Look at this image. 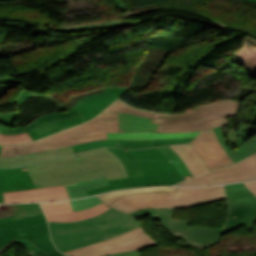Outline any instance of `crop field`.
<instances>
[{
    "instance_id": "obj_22",
    "label": "crop field",
    "mask_w": 256,
    "mask_h": 256,
    "mask_svg": "<svg viewBox=\"0 0 256 256\" xmlns=\"http://www.w3.org/2000/svg\"><path fill=\"white\" fill-rule=\"evenodd\" d=\"M171 148L181 156L193 176L209 171L191 145H176Z\"/></svg>"
},
{
    "instance_id": "obj_1",
    "label": "crop field",
    "mask_w": 256,
    "mask_h": 256,
    "mask_svg": "<svg viewBox=\"0 0 256 256\" xmlns=\"http://www.w3.org/2000/svg\"><path fill=\"white\" fill-rule=\"evenodd\" d=\"M26 168L36 188L103 176L108 180L128 177L120 159L107 148L59 157Z\"/></svg>"
},
{
    "instance_id": "obj_2",
    "label": "crop field",
    "mask_w": 256,
    "mask_h": 256,
    "mask_svg": "<svg viewBox=\"0 0 256 256\" xmlns=\"http://www.w3.org/2000/svg\"><path fill=\"white\" fill-rule=\"evenodd\" d=\"M48 222L53 242L61 252L109 239L140 226L135 217L111 208L82 221Z\"/></svg>"
},
{
    "instance_id": "obj_42",
    "label": "crop field",
    "mask_w": 256,
    "mask_h": 256,
    "mask_svg": "<svg viewBox=\"0 0 256 256\" xmlns=\"http://www.w3.org/2000/svg\"><path fill=\"white\" fill-rule=\"evenodd\" d=\"M38 256H65V255H63V254L59 253L58 251H56V252H53L51 254H44V255H38Z\"/></svg>"
},
{
    "instance_id": "obj_40",
    "label": "crop field",
    "mask_w": 256,
    "mask_h": 256,
    "mask_svg": "<svg viewBox=\"0 0 256 256\" xmlns=\"http://www.w3.org/2000/svg\"><path fill=\"white\" fill-rule=\"evenodd\" d=\"M256 195V181L244 183Z\"/></svg>"
},
{
    "instance_id": "obj_9",
    "label": "crop field",
    "mask_w": 256,
    "mask_h": 256,
    "mask_svg": "<svg viewBox=\"0 0 256 256\" xmlns=\"http://www.w3.org/2000/svg\"><path fill=\"white\" fill-rule=\"evenodd\" d=\"M224 187L227 192L229 214L223 234L243 225L250 232L256 221V196L243 183Z\"/></svg>"
},
{
    "instance_id": "obj_5",
    "label": "crop field",
    "mask_w": 256,
    "mask_h": 256,
    "mask_svg": "<svg viewBox=\"0 0 256 256\" xmlns=\"http://www.w3.org/2000/svg\"><path fill=\"white\" fill-rule=\"evenodd\" d=\"M178 193H141L124 196L110 207L130 213L140 208H182L226 199L222 186L177 187Z\"/></svg>"
},
{
    "instance_id": "obj_20",
    "label": "crop field",
    "mask_w": 256,
    "mask_h": 256,
    "mask_svg": "<svg viewBox=\"0 0 256 256\" xmlns=\"http://www.w3.org/2000/svg\"><path fill=\"white\" fill-rule=\"evenodd\" d=\"M85 122L81 115H76L74 117L64 118L60 120L47 122L33 130H31L29 135L34 139L43 138L48 135H51L59 130L64 128Z\"/></svg>"
},
{
    "instance_id": "obj_37",
    "label": "crop field",
    "mask_w": 256,
    "mask_h": 256,
    "mask_svg": "<svg viewBox=\"0 0 256 256\" xmlns=\"http://www.w3.org/2000/svg\"><path fill=\"white\" fill-rule=\"evenodd\" d=\"M21 132H25V130L22 126H18V127L13 128V129H8L5 126L0 124V133L14 134V133H21Z\"/></svg>"
},
{
    "instance_id": "obj_11",
    "label": "crop field",
    "mask_w": 256,
    "mask_h": 256,
    "mask_svg": "<svg viewBox=\"0 0 256 256\" xmlns=\"http://www.w3.org/2000/svg\"><path fill=\"white\" fill-rule=\"evenodd\" d=\"M256 179V154L242 162L183 181L177 185H204Z\"/></svg>"
},
{
    "instance_id": "obj_43",
    "label": "crop field",
    "mask_w": 256,
    "mask_h": 256,
    "mask_svg": "<svg viewBox=\"0 0 256 256\" xmlns=\"http://www.w3.org/2000/svg\"><path fill=\"white\" fill-rule=\"evenodd\" d=\"M3 56H12V54H8V53H0V57H3Z\"/></svg>"
},
{
    "instance_id": "obj_31",
    "label": "crop field",
    "mask_w": 256,
    "mask_h": 256,
    "mask_svg": "<svg viewBox=\"0 0 256 256\" xmlns=\"http://www.w3.org/2000/svg\"><path fill=\"white\" fill-rule=\"evenodd\" d=\"M70 202L72 204L73 211L88 208V207H91V206L101 203V201L96 196L91 197V198L74 200V201H70Z\"/></svg>"
},
{
    "instance_id": "obj_17",
    "label": "crop field",
    "mask_w": 256,
    "mask_h": 256,
    "mask_svg": "<svg viewBox=\"0 0 256 256\" xmlns=\"http://www.w3.org/2000/svg\"><path fill=\"white\" fill-rule=\"evenodd\" d=\"M34 188L32 180L25 168H0V202L2 192Z\"/></svg>"
},
{
    "instance_id": "obj_23",
    "label": "crop field",
    "mask_w": 256,
    "mask_h": 256,
    "mask_svg": "<svg viewBox=\"0 0 256 256\" xmlns=\"http://www.w3.org/2000/svg\"><path fill=\"white\" fill-rule=\"evenodd\" d=\"M201 131L188 133L128 132L107 133L108 139H167L196 136Z\"/></svg>"
},
{
    "instance_id": "obj_10",
    "label": "crop field",
    "mask_w": 256,
    "mask_h": 256,
    "mask_svg": "<svg viewBox=\"0 0 256 256\" xmlns=\"http://www.w3.org/2000/svg\"><path fill=\"white\" fill-rule=\"evenodd\" d=\"M175 209H140L131 213L144 217L151 213L153 219H159L164 228L191 236L193 240L205 241L212 245L221 240L222 229L214 227L193 226L189 221L173 219Z\"/></svg>"
},
{
    "instance_id": "obj_44",
    "label": "crop field",
    "mask_w": 256,
    "mask_h": 256,
    "mask_svg": "<svg viewBox=\"0 0 256 256\" xmlns=\"http://www.w3.org/2000/svg\"><path fill=\"white\" fill-rule=\"evenodd\" d=\"M249 1H253V2H256V0H249Z\"/></svg>"
},
{
    "instance_id": "obj_13",
    "label": "crop field",
    "mask_w": 256,
    "mask_h": 256,
    "mask_svg": "<svg viewBox=\"0 0 256 256\" xmlns=\"http://www.w3.org/2000/svg\"><path fill=\"white\" fill-rule=\"evenodd\" d=\"M48 220L76 221L96 216L108 210L110 207L103 203L85 210L72 212L69 201L40 203Z\"/></svg>"
},
{
    "instance_id": "obj_12",
    "label": "crop field",
    "mask_w": 256,
    "mask_h": 256,
    "mask_svg": "<svg viewBox=\"0 0 256 256\" xmlns=\"http://www.w3.org/2000/svg\"><path fill=\"white\" fill-rule=\"evenodd\" d=\"M210 171L233 164L220 146L212 129L204 130L190 142Z\"/></svg>"
},
{
    "instance_id": "obj_26",
    "label": "crop field",
    "mask_w": 256,
    "mask_h": 256,
    "mask_svg": "<svg viewBox=\"0 0 256 256\" xmlns=\"http://www.w3.org/2000/svg\"><path fill=\"white\" fill-rule=\"evenodd\" d=\"M141 192H177V191H176V187L140 188V189H131V190H125V191L112 192L108 194L99 195L98 197L109 205L123 195L141 193Z\"/></svg>"
},
{
    "instance_id": "obj_19",
    "label": "crop field",
    "mask_w": 256,
    "mask_h": 256,
    "mask_svg": "<svg viewBox=\"0 0 256 256\" xmlns=\"http://www.w3.org/2000/svg\"><path fill=\"white\" fill-rule=\"evenodd\" d=\"M71 153H73L71 147H66V148L48 150V151L39 152V153L20 155V157H17V156L0 157V166L11 167V166L32 164L40 161H45L51 158L71 154Z\"/></svg>"
},
{
    "instance_id": "obj_4",
    "label": "crop field",
    "mask_w": 256,
    "mask_h": 256,
    "mask_svg": "<svg viewBox=\"0 0 256 256\" xmlns=\"http://www.w3.org/2000/svg\"><path fill=\"white\" fill-rule=\"evenodd\" d=\"M106 132H119L118 113L101 115L79 126L22 146H0V156L26 154L107 139Z\"/></svg>"
},
{
    "instance_id": "obj_18",
    "label": "crop field",
    "mask_w": 256,
    "mask_h": 256,
    "mask_svg": "<svg viewBox=\"0 0 256 256\" xmlns=\"http://www.w3.org/2000/svg\"><path fill=\"white\" fill-rule=\"evenodd\" d=\"M223 149L229 155V157L233 160V162L239 161V159L235 156L233 152L230 151L229 148L226 147V139H229L230 144L234 145L236 148L244 143L247 139H249L252 135L256 133V127L250 126L245 123H241L237 129V131L230 130L228 133L222 130V127H218L214 129Z\"/></svg>"
},
{
    "instance_id": "obj_7",
    "label": "crop field",
    "mask_w": 256,
    "mask_h": 256,
    "mask_svg": "<svg viewBox=\"0 0 256 256\" xmlns=\"http://www.w3.org/2000/svg\"><path fill=\"white\" fill-rule=\"evenodd\" d=\"M13 238H28L48 253L56 251L41 206L0 215V248Z\"/></svg>"
},
{
    "instance_id": "obj_15",
    "label": "crop field",
    "mask_w": 256,
    "mask_h": 256,
    "mask_svg": "<svg viewBox=\"0 0 256 256\" xmlns=\"http://www.w3.org/2000/svg\"><path fill=\"white\" fill-rule=\"evenodd\" d=\"M195 137L191 138H180V139H168V140H102V141H93L89 143H84L80 145L72 146L74 152H80L85 150H90L98 147H129V148H146V147H155L160 145H169V144H179V143H188Z\"/></svg>"
},
{
    "instance_id": "obj_33",
    "label": "crop field",
    "mask_w": 256,
    "mask_h": 256,
    "mask_svg": "<svg viewBox=\"0 0 256 256\" xmlns=\"http://www.w3.org/2000/svg\"><path fill=\"white\" fill-rule=\"evenodd\" d=\"M38 205H39V203L0 205V214L5 213V212H9V211H13V210L38 206Z\"/></svg>"
},
{
    "instance_id": "obj_27",
    "label": "crop field",
    "mask_w": 256,
    "mask_h": 256,
    "mask_svg": "<svg viewBox=\"0 0 256 256\" xmlns=\"http://www.w3.org/2000/svg\"><path fill=\"white\" fill-rule=\"evenodd\" d=\"M78 114V111L77 109H75L74 107L68 111H63V112H57V113H52V114H47V115H43L37 119H35L34 121H32L29 125H27L25 127V129L27 130V132L29 130H31L32 128L44 123V122H47V121H50V120H54V119H59V118H63V117H69V116H74Z\"/></svg>"
},
{
    "instance_id": "obj_16",
    "label": "crop field",
    "mask_w": 256,
    "mask_h": 256,
    "mask_svg": "<svg viewBox=\"0 0 256 256\" xmlns=\"http://www.w3.org/2000/svg\"><path fill=\"white\" fill-rule=\"evenodd\" d=\"M4 202H31L68 198L63 185L3 193Z\"/></svg>"
},
{
    "instance_id": "obj_28",
    "label": "crop field",
    "mask_w": 256,
    "mask_h": 256,
    "mask_svg": "<svg viewBox=\"0 0 256 256\" xmlns=\"http://www.w3.org/2000/svg\"><path fill=\"white\" fill-rule=\"evenodd\" d=\"M158 149L161 150L170 160H172L173 164L176 166L184 179L192 177L191 173L181 160L180 156L175 153L170 147H162Z\"/></svg>"
},
{
    "instance_id": "obj_30",
    "label": "crop field",
    "mask_w": 256,
    "mask_h": 256,
    "mask_svg": "<svg viewBox=\"0 0 256 256\" xmlns=\"http://www.w3.org/2000/svg\"><path fill=\"white\" fill-rule=\"evenodd\" d=\"M242 160L256 152V138H250L243 145L233 151Z\"/></svg>"
},
{
    "instance_id": "obj_8",
    "label": "crop field",
    "mask_w": 256,
    "mask_h": 256,
    "mask_svg": "<svg viewBox=\"0 0 256 256\" xmlns=\"http://www.w3.org/2000/svg\"><path fill=\"white\" fill-rule=\"evenodd\" d=\"M159 245L142 227H138L112 239L62 252L68 256H107L130 250Z\"/></svg>"
},
{
    "instance_id": "obj_14",
    "label": "crop field",
    "mask_w": 256,
    "mask_h": 256,
    "mask_svg": "<svg viewBox=\"0 0 256 256\" xmlns=\"http://www.w3.org/2000/svg\"><path fill=\"white\" fill-rule=\"evenodd\" d=\"M126 89V87L103 88L104 93L92 94L83 97L76 102L75 106L87 121L98 115Z\"/></svg>"
},
{
    "instance_id": "obj_3",
    "label": "crop field",
    "mask_w": 256,
    "mask_h": 256,
    "mask_svg": "<svg viewBox=\"0 0 256 256\" xmlns=\"http://www.w3.org/2000/svg\"><path fill=\"white\" fill-rule=\"evenodd\" d=\"M238 108V101H223L205 104L183 114L152 113L134 109L117 99L102 113L128 112L147 116L153 118V123L160 124L158 132H187L225 125L227 117L237 114Z\"/></svg>"
},
{
    "instance_id": "obj_36",
    "label": "crop field",
    "mask_w": 256,
    "mask_h": 256,
    "mask_svg": "<svg viewBox=\"0 0 256 256\" xmlns=\"http://www.w3.org/2000/svg\"><path fill=\"white\" fill-rule=\"evenodd\" d=\"M16 112L0 113V123L5 126H11L13 119H15Z\"/></svg>"
},
{
    "instance_id": "obj_41",
    "label": "crop field",
    "mask_w": 256,
    "mask_h": 256,
    "mask_svg": "<svg viewBox=\"0 0 256 256\" xmlns=\"http://www.w3.org/2000/svg\"><path fill=\"white\" fill-rule=\"evenodd\" d=\"M114 2L117 4L119 11L127 9L126 6L120 0H114Z\"/></svg>"
},
{
    "instance_id": "obj_29",
    "label": "crop field",
    "mask_w": 256,
    "mask_h": 256,
    "mask_svg": "<svg viewBox=\"0 0 256 256\" xmlns=\"http://www.w3.org/2000/svg\"><path fill=\"white\" fill-rule=\"evenodd\" d=\"M32 141L34 140L27 134V132L21 133V134H15V135L0 134V144L16 145V144L28 143Z\"/></svg>"
},
{
    "instance_id": "obj_38",
    "label": "crop field",
    "mask_w": 256,
    "mask_h": 256,
    "mask_svg": "<svg viewBox=\"0 0 256 256\" xmlns=\"http://www.w3.org/2000/svg\"><path fill=\"white\" fill-rule=\"evenodd\" d=\"M0 83H20V80H14L13 76H4L0 78Z\"/></svg>"
},
{
    "instance_id": "obj_21",
    "label": "crop field",
    "mask_w": 256,
    "mask_h": 256,
    "mask_svg": "<svg viewBox=\"0 0 256 256\" xmlns=\"http://www.w3.org/2000/svg\"><path fill=\"white\" fill-rule=\"evenodd\" d=\"M150 121V118L127 113H119L120 132L156 131L159 125L150 123Z\"/></svg>"
},
{
    "instance_id": "obj_24",
    "label": "crop field",
    "mask_w": 256,
    "mask_h": 256,
    "mask_svg": "<svg viewBox=\"0 0 256 256\" xmlns=\"http://www.w3.org/2000/svg\"><path fill=\"white\" fill-rule=\"evenodd\" d=\"M104 185H108V182L105 177L88 180V181L71 183V184L65 185V187L70 198H80L88 195L86 190L104 186Z\"/></svg>"
},
{
    "instance_id": "obj_25",
    "label": "crop field",
    "mask_w": 256,
    "mask_h": 256,
    "mask_svg": "<svg viewBox=\"0 0 256 256\" xmlns=\"http://www.w3.org/2000/svg\"><path fill=\"white\" fill-rule=\"evenodd\" d=\"M117 157H119L125 167L129 177L141 176L142 171L134 156L127 150L122 148H109Z\"/></svg>"
},
{
    "instance_id": "obj_39",
    "label": "crop field",
    "mask_w": 256,
    "mask_h": 256,
    "mask_svg": "<svg viewBox=\"0 0 256 256\" xmlns=\"http://www.w3.org/2000/svg\"><path fill=\"white\" fill-rule=\"evenodd\" d=\"M112 256H141L139 250L138 251H130V252H124Z\"/></svg>"
},
{
    "instance_id": "obj_35",
    "label": "crop field",
    "mask_w": 256,
    "mask_h": 256,
    "mask_svg": "<svg viewBox=\"0 0 256 256\" xmlns=\"http://www.w3.org/2000/svg\"><path fill=\"white\" fill-rule=\"evenodd\" d=\"M38 95H36L35 93H33L32 91H28V90H22L20 92V94L17 96L16 98V107H19L22 103H24L26 100L30 99V98H34Z\"/></svg>"
},
{
    "instance_id": "obj_6",
    "label": "crop field",
    "mask_w": 256,
    "mask_h": 256,
    "mask_svg": "<svg viewBox=\"0 0 256 256\" xmlns=\"http://www.w3.org/2000/svg\"><path fill=\"white\" fill-rule=\"evenodd\" d=\"M129 151L138 160L144 176L109 181L108 186L88 190L89 195L128 187L173 185L183 180L172 162L157 148Z\"/></svg>"
},
{
    "instance_id": "obj_32",
    "label": "crop field",
    "mask_w": 256,
    "mask_h": 256,
    "mask_svg": "<svg viewBox=\"0 0 256 256\" xmlns=\"http://www.w3.org/2000/svg\"><path fill=\"white\" fill-rule=\"evenodd\" d=\"M121 20H117L115 22H105L102 24H94V25H83V26H78V27H73V28H59V31H67V30H75V29H94L96 27L101 28V29H116L118 26H114L115 24L119 23Z\"/></svg>"
},
{
    "instance_id": "obj_34",
    "label": "crop field",
    "mask_w": 256,
    "mask_h": 256,
    "mask_svg": "<svg viewBox=\"0 0 256 256\" xmlns=\"http://www.w3.org/2000/svg\"><path fill=\"white\" fill-rule=\"evenodd\" d=\"M166 230H168V229H166ZM168 232H169L171 235H173L175 238L180 237V238H182L186 243L189 242V243H191V244H193V245H197V246H199V247H201V248H203V249H205V248L211 246L210 244L205 243V242H196V241H192L189 236H186V235H183V234L174 232V231H172V230H168Z\"/></svg>"
}]
</instances>
